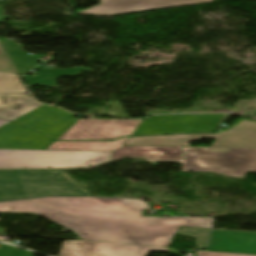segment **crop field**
Listing matches in <instances>:
<instances>
[{
  "mask_svg": "<svg viewBox=\"0 0 256 256\" xmlns=\"http://www.w3.org/2000/svg\"><path fill=\"white\" fill-rule=\"evenodd\" d=\"M4 18H9V17L5 14V12L0 4V22H5Z\"/></svg>",
  "mask_w": 256,
  "mask_h": 256,
  "instance_id": "24",
  "label": "crop field"
},
{
  "mask_svg": "<svg viewBox=\"0 0 256 256\" xmlns=\"http://www.w3.org/2000/svg\"><path fill=\"white\" fill-rule=\"evenodd\" d=\"M62 199L71 201L73 203H90V204H102V205H114L120 206L123 199H99V198H73V197H60Z\"/></svg>",
  "mask_w": 256,
  "mask_h": 256,
  "instance_id": "20",
  "label": "crop field"
},
{
  "mask_svg": "<svg viewBox=\"0 0 256 256\" xmlns=\"http://www.w3.org/2000/svg\"><path fill=\"white\" fill-rule=\"evenodd\" d=\"M111 152L0 149V168L89 167L110 161Z\"/></svg>",
  "mask_w": 256,
  "mask_h": 256,
  "instance_id": "4",
  "label": "crop field"
},
{
  "mask_svg": "<svg viewBox=\"0 0 256 256\" xmlns=\"http://www.w3.org/2000/svg\"><path fill=\"white\" fill-rule=\"evenodd\" d=\"M210 229L179 227L176 234L187 235L196 238V245L199 248L205 247L206 238Z\"/></svg>",
  "mask_w": 256,
  "mask_h": 256,
  "instance_id": "19",
  "label": "crop field"
},
{
  "mask_svg": "<svg viewBox=\"0 0 256 256\" xmlns=\"http://www.w3.org/2000/svg\"><path fill=\"white\" fill-rule=\"evenodd\" d=\"M61 109L43 105L13 121L26 124L52 139L69 129L78 119Z\"/></svg>",
  "mask_w": 256,
  "mask_h": 256,
  "instance_id": "10",
  "label": "crop field"
},
{
  "mask_svg": "<svg viewBox=\"0 0 256 256\" xmlns=\"http://www.w3.org/2000/svg\"><path fill=\"white\" fill-rule=\"evenodd\" d=\"M41 105L26 94L0 95V118L13 120Z\"/></svg>",
  "mask_w": 256,
  "mask_h": 256,
  "instance_id": "14",
  "label": "crop field"
},
{
  "mask_svg": "<svg viewBox=\"0 0 256 256\" xmlns=\"http://www.w3.org/2000/svg\"><path fill=\"white\" fill-rule=\"evenodd\" d=\"M227 114H183L149 116L132 135L215 131Z\"/></svg>",
  "mask_w": 256,
  "mask_h": 256,
  "instance_id": "6",
  "label": "crop field"
},
{
  "mask_svg": "<svg viewBox=\"0 0 256 256\" xmlns=\"http://www.w3.org/2000/svg\"><path fill=\"white\" fill-rule=\"evenodd\" d=\"M196 256H255V255H241V254H227V253H213L199 251Z\"/></svg>",
  "mask_w": 256,
  "mask_h": 256,
  "instance_id": "23",
  "label": "crop field"
},
{
  "mask_svg": "<svg viewBox=\"0 0 256 256\" xmlns=\"http://www.w3.org/2000/svg\"><path fill=\"white\" fill-rule=\"evenodd\" d=\"M146 203L124 199L120 207L73 204L57 197L0 203V212H32L87 240L166 247L179 226L211 228L212 218L140 216ZM168 247V246H167Z\"/></svg>",
  "mask_w": 256,
  "mask_h": 256,
  "instance_id": "1",
  "label": "crop field"
},
{
  "mask_svg": "<svg viewBox=\"0 0 256 256\" xmlns=\"http://www.w3.org/2000/svg\"><path fill=\"white\" fill-rule=\"evenodd\" d=\"M34 69L39 70L36 76L23 77L26 84L39 85V86L50 87L55 89H57L56 79L59 77H76L83 71H93L92 69H87L85 67L74 68L69 70L41 69V68H34Z\"/></svg>",
  "mask_w": 256,
  "mask_h": 256,
  "instance_id": "16",
  "label": "crop field"
},
{
  "mask_svg": "<svg viewBox=\"0 0 256 256\" xmlns=\"http://www.w3.org/2000/svg\"><path fill=\"white\" fill-rule=\"evenodd\" d=\"M203 138H215L211 146L256 147V121L241 118L217 133L130 137L125 145L189 146Z\"/></svg>",
  "mask_w": 256,
  "mask_h": 256,
  "instance_id": "5",
  "label": "crop field"
},
{
  "mask_svg": "<svg viewBox=\"0 0 256 256\" xmlns=\"http://www.w3.org/2000/svg\"><path fill=\"white\" fill-rule=\"evenodd\" d=\"M207 251L256 255V233L212 230Z\"/></svg>",
  "mask_w": 256,
  "mask_h": 256,
  "instance_id": "12",
  "label": "crop field"
},
{
  "mask_svg": "<svg viewBox=\"0 0 256 256\" xmlns=\"http://www.w3.org/2000/svg\"><path fill=\"white\" fill-rule=\"evenodd\" d=\"M9 122L8 120L0 119V126L4 125L5 123Z\"/></svg>",
  "mask_w": 256,
  "mask_h": 256,
  "instance_id": "25",
  "label": "crop field"
},
{
  "mask_svg": "<svg viewBox=\"0 0 256 256\" xmlns=\"http://www.w3.org/2000/svg\"><path fill=\"white\" fill-rule=\"evenodd\" d=\"M150 250L168 252L167 248L114 244L92 241H64L58 256H146Z\"/></svg>",
  "mask_w": 256,
  "mask_h": 256,
  "instance_id": "8",
  "label": "crop field"
},
{
  "mask_svg": "<svg viewBox=\"0 0 256 256\" xmlns=\"http://www.w3.org/2000/svg\"><path fill=\"white\" fill-rule=\"evenodd\" d=\"M47 195L92 196L62 170H0V201Z\"/></svg>",
  "mask_w": 256,
  "mask_h": 256,
  "instance_id": "2",
  "label": "crop field"
},
{
  "mask_svg": "<svg viewBox=\"0 0 256 256\" xmlns=\"http://www.w3.org/2000/svg\"><path fill=\"white\" fill-rule=\"evenodd\" d=\"M182 171H215L232 177L256 172V149L185 150Z\"/></svg>",
  "mask_w": 256,
  "mask_h": 256,
  "instance_id": "3",
  "label": "crop field"
},
{
  "mask_svg": "<svg viewBox=\"0 0 256 256\" xmlns=\"http://www.w3.org/2000/svg\"><path fill=\"white\" fill-rule=\"evenodd\" d=\"M53 142L13 121L0 127V148L46 150Z\"/></svg>",
  "mask_w": 256,
  "mask_h": 256,
  "instance_id": "11",
  "label": "crop field"
},
{
  "mask_svg": "<svg viewBox=\"0 0 256 256\" xmlns=\"http://www.w3.org/2000/svg\"><path fill=\"white\" fill-rule=\"evenodd\" d=\"M0 256H32V253L23 250H15L12 246L1 244Z\"/></svg>",
  "mask_w": 256,
  "mask_h": 256,
  "instance_id": "21",
  "label": "crop field"
},
{
  "mask_svg": "<svg viewBox=\"0 0 256 256\" xmlns=\"http://www.w3.org/2000/svg\"><path fill=\"white\" fill-rule=\"evenodd\" d=\"M0 71L15 73L12 65L10 64V62L8 61V59L6 58V56L4 55L1 49H0Z\"/></svg>",
  "mask_w": 256,
  "mask_h": 256,
  "instance_id": "22",
  "label": "crop field"
},
{
  "mask_svg": "<svg viewBox=\"0 0 256 256\" xmlns=\"http://www.w3.org/2000/svg\"><path fill=\"white\" fill-rule=\"evenodd\" d=\"M214 0H100V4L77 14L112 16L191 4L209 3Z\"/></svg>",
  "mask_w": 256,
  "mask_h": 256,
  "instance_id": "9",
  "label": "crop field"
},
{
  "mask_svg": "<svg viewBox=\"0 0 256 256\" xmlns=\"http://www.w3.org/2000/svg\"><path fill=\"white\" fill-rule=\"evenodd\" d=\"M129 137L115 141H55L47 150L113 151L121 147Z\"/></svg>",
  "mask_w": 256,
  "mask_h": 256,
  "instance_id": "15",
  "label": "crop field"
},
{
  "mask_svg": "<svg viewBox=\"0 0 256 256\" xmlns=\"http://www.w3.org/2000/svg\"><path fill=\"white\" fill-rule=\"evenodd\" d=\"M0 43L16 66L20 75L27 73L36 65L39 57L28 55L20 48V44H15L12 40H0Z\"/></svg>",
  "mask_w": 256,
  "mask_h": 256,
  "instance_id": "17",
  "label": "crop field"
},
{
  "mask_svg": "<svg viewBox=\"0 0 256 256\" xmlns=\"http://www.w3.org/2000/svg\"><path fill=\"white\" fill-rule=\"evenodd\" d=\"M25 89L16 74L0 72V93H23Z\"/></svg>",
  "mask_w": 256,
  "mask_h": 256,
  "instance_id": "18",
  "label": "crop field"
},
{
  "mask_svg": "<svg viewBox=\"0 0 256 256\" xmlns=\"http://www.w3.org/2000/svg\"><path fill=\"white\" fill-rule=\"evenodd\" d=\"M141 120L80 119L58 140L115 139L131 135Z\"/></svg>",
  "mask_w": 256,
  "mask_h": 256,
  "instance_id": "7",
  "label": "crop field"
},
{
  "mask_svg": "<svg viewBox=\"0 0 256 256\" xmlns=\"http://www.w3.org/2000/svg\"><path fill=\"white\" fill-rule=\"evenodd\" d=\"M121 157H144L151 161H181L182 147L122 146L112 152L111 160Z\"/></svg>",
  "mask_w": 256,
  "mask_h": 256,
  "instance_id": "13",
  "label": "crop field"
}]
</instances>
